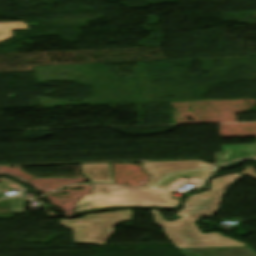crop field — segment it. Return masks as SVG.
<instances>
[{"label": "crop field", "instance_id": "8a807250", "mask_svg": "<svg viewBox=\"0 0 256 256\" xmlns=\"http://www.w3.org/2000/svg\"><path fill=\"white\" fill-rule=\"evenodd\" d=\"M180 250L185 256H256V253H254L249 247L196 248Z\"/></svg>", "mask_w": 256, "mask_h": 256}, {"label": "crop field", "instance_id": "ac0d7876", "mask_svg": "<svg viewBox=\"0 0 256 256\" xmlns=\"http://www.w3.org/2000/svg\"><path fill=\"white\" fill-rule=\"evenodd\" d=\"M223 153H216V166L238 158H256V144L223 145Z\"/></svg>", "mask_w": 256, "mask_h": 256}, {"label": "crop field", "instance_id": "34b2d1b8", "mask_svg": "<svg viewBox=\"0 0 256 256\" xmlns=\"http://www.w3.org/2000/svg\"><path fill=\"white\" fill-rule=\"evenodd\" d=\"M29 29L25 23H1L0 41L12 36L11 30Z\"/></svg>", "mask_w": 256, "mask_h": 256}, {"label": "crop field", "instance_id": "412701ff", "mask_svg": "<svg viewBox=\"0 0 256 256\" xmlns=\"http://www.w3.org/2000/svg\"><path fill=\"white\" fill-rule=\"evenodd\" d=\"M239 174H243L245 176L256 179V171L252 167H246V169Z\"/></svg>", "mask_w": 256, "mask_h": 256}, {"label": "crop field", "instance_id": "f4fd0767", "mask_svg": "<svg viewBox=\"0 0 256 256\" xmlns=\"http://www.w3.org/2000/svg\"><path fill=\"white\" fill-rule=\"evenodd\" d=\"M243 161H235V162H233V163H231V164H229V165H226V166H224V167H222L223 169H228V168H233V167H235V166H237L238 164H240V163H242Z\"/></svg>", "mask_w": 256, "mask_h": 256}]
</instances>
